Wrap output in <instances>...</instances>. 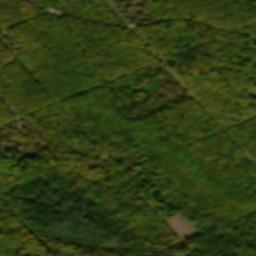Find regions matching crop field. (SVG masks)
Segmentation results:
<instances>
[{
  "instance_id": "8a807250",
  "label": "crop field",
  "mask_w": 256,
  "mask_h": 256,
  "mask_svg": "<svg viewBox=\"0 0 256 256\" xmlns=\"http://www.w3.org/2000/svg\"><path fill=\"white\" fill-rule=\"evenodd\" d=\"M163 221L176 234V236L180 240L194 236V233L181 221H179L175 216Z\"/></svg>"
}]
</instances>
